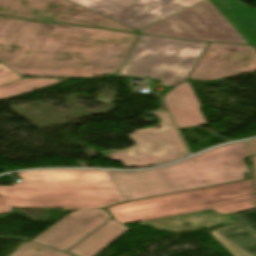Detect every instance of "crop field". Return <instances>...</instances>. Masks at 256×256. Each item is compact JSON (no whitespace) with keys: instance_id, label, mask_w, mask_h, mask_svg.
<instances>
[{"instance_id":"crop-field-5","label":"crop field","mask_w":256,"mask_h":256,"mask_svg":"<svg viewBox=\"0 0 256 256\" xmlns=\"http://www.w3.org/2000/svg\"><path fill=\"white\" fill-rule=\"evenodd\" d=\"M206 43L142 35L121 75L152 77L161 85L185 81Z\"/></svg>"},{"instance_id":"crop-field-7","label":"crop field","mask_w":256,"mask_h":256,"mask_svg":"<svg viewBox=\"0 0 256 256\" xmlns=\"http://www.w3.org/2000/svg\"><path fill=\"white\" fill-rule=\"evenodd\" d=\"M155 114L162 120L159 125L129 135L136 144L134 147L105 153L106 156L114 161H123L125 167H144L166 164L189 155L167 112L162 110Z\"/></svg>"},{"instance_id":"crop-field-25","label":"crop field","mask_w":256,"mask_h":256,"mask_svg":"<svg viewBox=\"0 0 256 256\" xmlns=\"http://www.w3.org/2000/svg\"><path fill=\"white\" fill-rule=\"evenodd\" d=\"M254 48V50L256 51V46H252Z\"/></svg>"},{"instance_id":"crop-field-9","label":"crop field","mask_w":256,"mask_h":256,"mask_svg":"<svg viewBox=\"0 0 256 256\" xmlns=\"http://www.w3.org/2000/svg\"><path fill=\"white\" fill-rule=\"evenodd\" d=\"M256 71L251 46L209 43L189 80H215Z\"/></svg>"},{"instance_id":"crop-field-12","label":"crop field","mask_w":256,"mask_h":256,"mask_svg":"<svg viewBox=\"0 0 256 256\" xmlns=\"http://www.w3.org/2000/svg\"><path fill=\"white\" fill-rule=\"evenodd\" d=\"M237 217L240 223L209 233L233 256H256V211Z\"/></svg>"},{"instance_id":"crop-field-1","label":"crop field","mask_w":256,"mask_h":256,"mask_svg":"<svg viewBox=\"0 0 256 256\" xmlns=\"http://www.w3.org/2000/svg\"><path fill=\"white\" fill-rule=\"evenodd\" d=\"M139 35L0 17V62L20 76L118 74Z\"/></svg>"},{"instance_id":"crop-field-16","label":"crop field","mask_w":256,"mask_h":256,"mask_svg":"<svg viewBox=\"0 0 256 256\" xmlns=\"http://www.w3.org/2000/svg\"><path fill=\"white\" fill-rule=\"evenodd\" d=\"M127 229L111 219L68 252L77 256H93Z\"/></svg>"},{"instance_id":"crop-field-23","label":"crop field","mask_w":256,"mask_h":256,"mask_svg":"<svg viewBox=\"0 0 256 256\" xmlns=\"http://www.w3.org/2000/svg\"><path fill=\"white\" fill-rule=\"evenodd\" d=\"M253 162H254V170H255V176H256V156L253 157ZM255 182H256V178H255Z\"/></svg>"},{"instance_id":"crop-field-22","label":"crop field","mask_w":256,"mask_h":256,"mask_svg":"<svg viewBox=\"0 0 256 256\" xmlns=\"http://www.w3.org/2000/svg\"><path fill=\"white\" fill-rule=\"evenodd\" d=\"M249 149L251 155L256 154V140L249 141Z\"/></svg>"},{"instance_id":"crop-field-8","label":"crop field","mask_w":256,"mask_h":256,"mask_svg":"<svg viewBox=\"0 0 256 256\" xmlns=\"http://www.w3.org/2000/svg\"><path fill=\"white\" fill-rule=\"evenodd\" d=\"M0 15L137 33L68 0H0Z\"/></svg>"},{"instance_id":"crop-field-24","label":"crop field","mask_w":256,"mask_h":256,"mask_svg":"<svg viewBox=\"0 0 256 256\" xmlns=\"http://www.w3.org/2000/svg\"><path fill=\"white\" fill-rule=\"evenodd\" d=\"M63 211H66V210H77V209H86V208H62Z\"/></svg>"},{"instance_id":"crop-field-14","label":"crop field","mask_w":256,"mask_h":256,"mask_svg":"<svg viewBox=\"0 0 256 256\" xmlns=\"http://www.w3.org/2000/svg\"><path fill=\"white\" fill-rule=\"evenodd\" d=\"M249 44L256 45V9L237 0H210Z\"/></svg>"},{"instance_id":"crop-field-20","label":"crop field","mask_w":256,"mask_h":256,"mask_svg":"<svg viewBox=\"0 0 256 256\" xmlns=\"http://www.w3.org/2000/svg\"><path fill=\"white\" fill-rule=\"evenodd\" d=\"M149 1H152V2L160 4V5H164V6L170 7L173 10H175L176 7L180 3H182L184 0H149Z\"/></svg>"},{"instance_id":"crop-field-2","label":"crop field","mask_w":256,"mask_h":256,"mask_svg":"<svg viewBox=\"0 0 256 256\" xmlns=\"http://www.w3.org/2000/svg\"><path fill=\"white\" fill-rule=\"evenodd\" d=\"M247 143H235L204 152L166 168L144 172L109 171L121 195L133 200L243 180L249 173L243 159Z\"/></svg>"},{"instance_id":"crop-field-6","label":"crop field","mask_w":256,"mask_h":256,"mask_svg":"<svg viewBox=\"0 0 256 256\" xmlns=\"http://www.w3.org/2000/svg\"><path fill=\"white\" fill-rule=\"evenodd\" d=\"M159 36L206 42L248 44L209 0L142 30Z\"/></svg>"},{"instance_id":"crop-field-19","label":"crop field","mask_w":256,"mask_h":256,"mask_svg":"<svg viewBox=\"0 0 256 256\" xmlns=\"http://www.w3.org/2000/svg\"><path fill=\"white\" fill-rule=\"evenodd\" d=\"M19 79H22V77L18 76L5 65L0 63V85L7 84Z\"/></svg>"},{"instance_id":"crop-field-18","label":"crop field","mask_w":256,"mask_h":256,"mask_svg":"<svg viewBox=\"0 0 256 256\" xmlns=\"http://www.w3.org/2000/svg\"><path fill=\"white\" fill-rule=\"evenodd\" d=\"M11 256H69L68 254L26 242Z\"/></svg>"},{"instance_id":"crop-field-3","label":"crop field","mask_w":256,"mask_h":256,"mask_svg":"<svg viewBox=\"0 0 256 256\" xmlns=\"http://www.w3.org/2000/svg\"><path fill=\"white\" fill-rule=\"evenodd\" d=\"M209 208L220 214L256 208L254 179L137 200L106 210L125 225Z\"/></svg>"},{"instance_id":"crop-field-21","label":"crop field","mask_w":256,"mask_h":256,"mask_svg":"<svg viewBox=\"0 0 256 256\" xmlns=\"http://www.w3.org/2000/svg\"><path fill=\"white\" fill-rule=\"evenodd\" d=\"M200 1H202V0H186L177 7L176 11L180 12V11H182Z\"/></svg>"},{"instance_id":"crop-field-11","label":"crop field","mask_w":256,"mask_h":256,"mask_svg":"<svg viewBox=\"0 0 256 256\" xmlns=\"http://www.w3.org/2000/svg\"><path fill=\"white\" fill-rule=\"evenodd\" d=\"M108 218L110 216L103 209L77 210L32 242L65 251Z\"/></svg>"},{"instance_id":"crop-field-10","label":"crop field","mask_w":256,"mask_h":256,"mask_svg":"<svg viewBox=\"0 0 256 256\" xmlns=\"http://www.w3.org/2000/svg\"><path fill=\"white\" fill-rule=\"evenodd\" d=\"M135 30L177 12L147 0H71Z\"/></svg>"},{"instance_id":"crop-field-13","label":"crop field","mask_w":256,"mask_h":256,"mask_svg":"<svg viewBox=\"0 0 256 256\" xmlns=\"http://www.w3.org/2000/svg\"><path fill=\"white\" fill-rule=\"evenodd\" d=\"M165 101L179 128L206 124L199 111L201 106L188 82L173 88Z\"/></svg>"},{"instance_id":"crop-field-15","label":"crop field","mask_w":256,"mask_h":256,"mask_svg":"<svg viewBox=\"0 0 256 256\" xmlns=\"http://www.w3.org/2000/svg\"><path fill=\"white\" fill-rule=\"evenodd\" d=\"M21 182H111L103 170H48L18 173Z\"/></svg>"},{"instance_id":"crop-field-17","label":"crop field","mask_w":256,"mask_h":256,"mask_svg":"<svg viewBox=\"0 0 256 256\" xmlns=\"http://www.w3.org/2000/svg\"><path fill=\"white\" fill-rule=\"evenodd\" d=\"M65 80L67 79H22L0 86V100Z\"/></svg>"},{"instance_id":"crop-field-4","label":"crop field","mask_w":256,"mask_h":256,"mask_svg":"<svg viewBox=\"0 0 256 256\" xmlns=\"http://www.w3.org/2000/svg\"><path fill=\"white\" fill-rule=\"evenodd\" d=\"M131 199L114 183H11L0 186V214L11 207H102Z\"/></svg>"}]
</instances>
